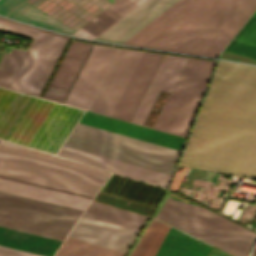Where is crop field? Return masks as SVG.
Here are the masks:
<instances>
[{"label":"crop field","instance_id":"1","mask_svg":"<svg viewBox=\"0 0 256 256\" xmlns=\"http://www.w3.org/2000/svg\"><path fill=\"white\" fill-rule=\"evenodd\" d=\"M0 0V14L71 34L115 0ZM161 0H117L73 35L107 41ZM233 0H162L109 41L171 50ZM256 0H234L229 5L245 11ZM225 7L174 51L193 54L242 12ZM256 9V3L194 54L216 57Z\"/></svg>","mask_w":256,"mask_h":256},{"label":"crop field","instance_id":"2","mask_svg":"<svg viewBox=\"0 0 256 256\" xmlns=\"http://www.w3.org/2000/svg\"><path fill=\"white\" fill-rule=\"evenodd\" d=\"M179 165L256 179V67L218 61Z\"/></svg>","mask_w":256,"mask_h":256},{"label":"crop field","instance_id":"3","mask_svg":"<svg viewBox=\"0 0 256 256\" xmlns=\"http://www.w3.org/2000/svg\"><path fill=\"white\" fill-rule=\"evenodd\" d=\"M120 49L93 45L64 103L89 110ZM141 52L121 49L90 110L109 115ZM163 55L142 52L110 116L130 121Z\"/></svg>","mask_w":256,"mask_h":256},{"label":"crop field","instance_id":"4","mask_svg":"<svg viewBox=\"0 0 256 256\" xmlns=\"http://www.w3.org/2000/svg\"><path fill=\"white\" fill-rule=\"evenodd\" d=\"M108 172L2 142L0 177L93 198ZM81 196V197H82Z\"/></svg>","mask_w":256,"mask_h":256},{"label":"crop field","instance_id":"5","mask_svg":"<svg viewBox=\"0 0 256 256\" xmlns=\"http://www.w3.org/2000/svg\"><path fill=\"white\" fill-rule=\"evenodd\" d=\"M156 217L236 256H247L256 239L255 232L201 206L168 197Z\"/></svg>","mask_w":256,"mask_h":256},{"label":"crop field","instance_id":"6","mask_svg":"<svg viewBox=\"0 0 256 256\" xmlns=\"http://www.w3.org/2000/svg\"><path fill=\"white\" fill-rule=\"evenodd\" d=\"M71 134L100 141L145 155L153 156L170 162H176L179 150L123 136L87 125L79 124L74 127ZM69 134L64 146L72 147L82 151L90 152L100 156L108 157L118 161L126 162L136 166L144 167L154 171L171 174L174 163L145 156L100 142L92 141L82 137Z\"/></svg>","mask_w":256,"mask_h":256},{"label":"crop field","instance_id":"7","mask_svg":"<svg viewBox=\"0 0 256 256\" xmlns=\"http://www.w3.org/2000/svg\"><path fill=\"white\" fill-rule=\"evenodd\" d=\"M82 113L34 97L7 140L56 154Z\"/></svg>","mask_w":256,"mask_h":256},{"label":"crop field","instance_id":"8","mask_svg":"<svg viewBox=\"0 0 256 256\" xmlns=\"http://www.w3.org/2000/svg\"><path fill=\"white\" fill-rule=\"evenodd\" d=\"M82 211L0 192V226L63 241Z\"/></svg>","mask_w":256,"mask_h":256},{"label":"crop field","instance_id":"9","mask_svg":"<svg viewBox=\"0 0 256 256\" xmlns=\"http://www.w3.org/2000/svg\"><path fill=\"white\" fill-rule=\"evenodd\" d=\"M0 30L33 39L9 88L38 96L68 36L1 17Z\"/></svg>","mask_w":256,"mask_h":256},{"label":"crop field","instance_id":"10","mask_svg":"<svg viewBox=\"0 0 256 256\" xmlns=\"http://www.w3.org/2000/svg\"><path fill=\"white\" fill-rule=\"evenodd\" d=\"M212 246L155 218L129 256H208ZM209 256H232L213 247Z\"/></svg>","mask_w":256,"mask_h":256},{"label":"crop field","instance_id":"11","mask_svg":"<svg viewBox=\"0 0 256 256\" xmlns=\"http://www.w3.org/2000/svg\"><path fill=\"white\" fill-rule=\"evenodd\" d=\"M187 58L165 55L131 122L143 125L152 106L162 108ZM152 107L144 125L152 127L160 109Z\"/></svg>","mask_w":256,"mask_h":256},{"label":"crop field","instance_id":"12","mask_svg":"<svg viewBox=\"0 0 256 256\" xmlns=\"http://www.w3.org/2000/svg\"><path fill=\"white\" fill-rule=\"evenodd\" d=\"M138 231L81 216L69 237L126 253Z\"/></svg>","mask_w":256,"mask_h":256},{"label":"crop field","instance_id":"13","mask_svg":"<svg viewBox=\"0 0 256 256\" xmlns=\"http://www.w3.org/2000/svg\"><path fill=\"white\" fill-rule=\"evenodd\" d=\"M79 123L135 137L160 145L175 149H181L184 138L95 113L87 112L83 114Z\"/></svg>","mask_w":256,"mask_h":256},{"label":"crop field","instance_id":"14","mask_svg":"<svg viewBox=\"0 0 256 256\" xmlns=\"http://www.w3.org/2000/svg\"><path fill=\"white\" fill-rule=\"evenodd\" d=\"M57 155L73 158L77 161L100 167L110 172L126 175L155 185L166 187L169 175L89 154L62 146Z\"/></svg>","mask_w":256,"mask_h":256},{"label":"crop field","instance_id":"15","mask_svg":"<svg viewBox=\"0 0 256 256\" xmlns=\"http://www.w3.org/2000/svg\"><path fill=\"white\" fill-rule=\"evenodd\" d=\"M0 191L84 210L90 198L0 178Z\"/></svg>","mask_w":256,"mask_h":256},{"label":"crop field","instance_id":"16","mask_svg":"<svg viewBox=\"0 0 256 256\" xmlns=\"http://www.w3.org/2000/svg\"><path fill=\"white\" fill-rule=\"evenodd\" d=\"M106 186L104 187L103 192ZM163 191L164 188L114 174L105 193L154 207Z\"/></svg>","mask_w":256,"mask_h":256},{"label":"crop field","instance_id":"17","mask_svg":"<svg viewBox=\"0 0 256 256\" xmlns=\"http://www.w3.org/2000/svg\"><path fill=\"white\" fill-rule=\"evenodd\" d=\"M33 96L0 88V138L6 140Z\"/></svg>","mask_w":256,"mask_h":256},{"label":"crop field","instance_id":"18","mask_svg":"<svg viewBox=\"0 0 256 256\" xmlns=\"http://www.w3.org/2000/svg\"><path fill=\"white\" fill-rule=\"evenodd\" d=\"M94 202V201H93ZM91 202L83 216L140 231L147 217Z\"/></svg>","mask_w":256,"mask_h":256},{"label":"crop field","instance_id":"19","mask_svg":"<svg viewBox=\"0 0 256 256\" xmlns=\"http://www.w3.org/2000/svg\"><path fill=\"white\" fill-rule=\"evenodd\" d=\"M225 51L256 60V18L247 21Z\"/></svg>","mask_w":256,"mask_h":256},{"label":"crop field","instance_id":"20","mask_svg":"<svg viewBox=\"0 0 256 256\" xmlns=\"http://www.w3.org/2000/svg\"><path fill=\"white\" fill-rule=\"evenodd\" d=\"M55 256H124V253L67 237Z\"/></svg>","mask_w":256,"mask_h":256},{"label":"crop field","instance_id":"21","mask_svg":"<svg viewBox=\"0 0 256 256\" xmlns=\"http://www.w3.org/2000/svg\"><path fill=\"white\" fill-rule=\"evenodd\" d=\"M10 50V48L5 47L2 51L9 53ZM25 52L12 49L10 54H4L0 62V86L9 87Z\"/></svg>","mask_w":256,"mask_h":256},{"label":"crop field","instance_id":"22","mask_svg":"<svg viewBox=\"0 0 256 256\" xmlns=\"http://www.w3.org/2000/svg\"><path fill=\"white\" fill-rule=\"evenodd\" d=\"M0 256H41L0 246Z\"/></svg>","mask_w":256,"mask_h":256},{"label":"crop field","instance_id":"23","mask_svg":"<svg viewBox=\"0 0 256 256\" xmlns=\"http://www.w3.org/2000/svg\"><path fill=\"white\" fill-rule=\"evenodd\" d=\"M3 54H4V53L0 52V60H1L2 56H3Z\"/></svg>","mask_w":256,"mask_h":256},{"label":"crop field","instance_id":"24","mask_svg":"<svg viewBox=\"0 0 256 256\" xmlns=\"http://www.w3.org/2000/svg\"><path fill=\"white\" fill-rule=\"evenodd\" d=\"M253 17H256V11L254 12V14L252 15Z\"/></svg>","mask_w":256,"mask_h":256}]
</instances>
